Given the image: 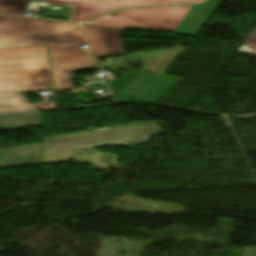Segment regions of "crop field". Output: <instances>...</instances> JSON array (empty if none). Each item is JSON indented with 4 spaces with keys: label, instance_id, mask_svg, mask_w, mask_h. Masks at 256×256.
<instances>
[{
    "label": "crop field",
    "instance_id": "obj_1",
    "mask_svg": "<svg viewBox=\"0 0 256 256\" xmlns=\"http://www.w3.org/2000/svg\"><path fill=\"white\" fill-rule=\"evenodd\" d=\"M47 44L55 91L73 89L69 71L100 67L80 24L0 16V48Z\"/></svg>",
    "mask_w": 256,
    "mask_h": 256
},
{
    "label": "crop field",
    "instance_id": "obj_2",
    "mask_svg": "<svg viewBox=\"0 0 256 256\" xmlns=\"http://www.w3.org/2000/svg\"><path fill=\"white\" fill-rule=\"evenodd\" d=\"M49 88L54 86L47 45L0 49V92Z\"/></svg>",
    "mask_w": 256,
    "mask_h": 256
},
{
    "label": "crop field",
    "instance_id": "obj_3",
    "mask_svg": "<svg viewBox=\"0 0 256 256\" xmlns=\"http://www.w3.org/2000/svg\"><path fill=\"white\" fill-rule=\"evenodd\" d=\"M159 131L157 123H151L46 139L41 164L67 162L74 156V149L143 144Z\"/></svg>",
    "mask_w": 256,
    "mask_h": 256
},
{
    "label": "crop field",
    "instance_id": "obj_4",
    "mask_svg": "<svg viewBox=\"0 0 256 256\" xmlns=\"http://www.w3.org/2000/svg\"><path fill=\"white\" fill-rule=\"evenodd\" d=\"M190 7L191 6H170L122 10L117 13L86 22V24L127 29L145 28L174 32Z\"/></svg>",
    "mask_w": 256,
    "mask_h": 256
},
{
    "label": "crop field",
    "instance_id": "obj_5",
    "mask_svg": "<svg viewBox=\"0 0 256 256\" xmlns=\"http://www.w3.org/2000/svg\"><path fill=\"white\" fill-rule=\"evenodd\" d=\"M178 78L134 71L109 86L117 102H158Z\"/></svg>",
    "mask_w": 256,
    "mask_h": 256
},
{
    "label": "crop field",
    "instance_id": "obj_6",
    "mask_svg": "<svg viewBox=\"0 0 256 256\" xmlns=\"http://www.w3.org/2000/svg\"><path fill=\"white\" fill-rule=\"evenodd\" d=\"M59 5H75L73 21L90 19L122 7L146 5L187 4L202 0H44Z\"/></svg>",
    "mask_w": 256,
    "mask_h": 256
},
{
    "label": "crop field",
    "instance_id": "obj_7",
    "mask_svg": "<svg viewBox=\"0 0 256 256\" xmlns=\"http://www.w3.org/2000/svg\"><path fill=\"white\" fill-rule=\"evenodd\" d=\"M84 25L87 30L90 49L96 57L121 54V29Z\"/></svg>",
    "mask_w": 256,
    "mask_h": 256
},
{
    "label": "crop field",
    "instance_id": "obj_8",
    "mask_svg": "<svg viewBox=\"0 0 256 256\" xmlns=\"http://www.w3.org/2000/svg\"><path fill=\"white\" fill-rule=\"evenodd\" d=\"M222 0H208L201 5L193 6L183 18L174 33L197 36L206 21Z\"/></svg>",
    "mask_w": 256,
    "mask_h": 256
},
{
    "label": "crop field",
    "instance_id": "obj_9",
    "mask_svg": "<svg viewBox=\"0 0 256 256\" xmlns=\"http://www.w3.org/2000/svg\"><path fill=\"white\" fill-rule=\"evenodd\" d=\"M41 144L0 150V168L38 164Z\"/></svg>",
    "mask_w": 256,
    "mask_h": 256
},
{
    "label": "crop field",
    "instance_id": "obj_10",
    "mask_svg": "<svg viewBox=\"0 0 256 256\" xmlns=\"http://www.w3.org/2000/svg\"><path fill=\"white\" fill-rule=\"evenodd\" d=\"M37 109L21 92L0 93V113Z\"/></svg>",
    "mask_w": 256,
    "mask_h": 256
},
{
    "label": "crop field",
    "instance_id": "obj_11",
    "mask_svg": "<svg viewBox=\"0 0 256 256\" xmlns=\"http://www.w3.org/2000/svg\"><path fill=\"white\" fill-rule=\"evenodd\" d=\"M37 125H41L40 112L0 116V130Z\"/></svg>",
    "mask_w": 256,
    "mask_h": 256
},
{
    "label": "crop field",
    "instance_id": "obj_12",
    "mask_svg": "<svg viewBox=\"0 0 256 256\" xmlns=\"http://www.w3.org/2000/svg\"><path fill=\"white\" fill-rule=\"evenodd\" d=\"M28 0H0V13L22 15Z\"/></svg>",
    "mask_w": 256,
    "mask_h": 256
},
{
    "label": "crop field",
    "instance_id": "obj_13",
    "mask_svg": "<svg viewBox=\"0 0 256 256\" xmlns=\"http://www.w3.org/2000/svg\"><path fill=\"white\" fill-rule=\"evenodd\" d=\"M249 46L256 50V29L252 32V34L245 41Z\"/></svg>",
    "mask_w": 256,
    "mask_h": 256
}]
</instances>
